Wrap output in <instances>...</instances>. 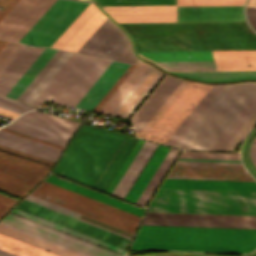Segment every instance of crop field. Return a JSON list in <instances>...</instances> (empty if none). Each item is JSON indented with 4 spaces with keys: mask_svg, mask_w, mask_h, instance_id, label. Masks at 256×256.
I'll use <instances>...</instances> for the list:
<instances>
[{
    "mask_svg": "<svg viewBox=\"0 0 256 256\" xmlns=\"http://www.w3.org/2000/svg\"><path fill=\"white\" fill-rule=\"evenodd\" d=\"M137 51L256 49L245 22L120 24Z\"/></svg>",
    "mask_w": 256,
    "mask_h": 256,
    "instance_id": "8a807250",
    "label": "crop field"
},
{
    "mask_svg": "<svg viewBox=\"0 0 256 256\" xmlns=\"http://www.w3.org/2000/svg\"><path fill=\"white\" fill-rule=\"evenodd\" d=\"M124 137L82 124L53 172L94 187Z\"/></svg>",
    "mask_w": 256,
    "mask_h": 256,
    "instance_id": "ac0d7876",
    "label": "crop field"
},
{
    "mask_svg": "<svg viewBox=\"0 0 256 256\" xmlns=\"http://www.w3.org/2000/svg\"><path fill=\"white\" fill-rule=\"evenodd\" d=\"M149 211L256 215V193L159 189Z\"/></svg>",
    "mask_w": 256,
    "mask_h": 256,
    "instance_id": "34b2d1b8",
    "label": "crop field"
},
{
    "mask_svg": "<svg viewBox=\"0 0 256 256\" xmlns=\"http://www.w3.org/2000/svg\"><path fill=\"white\" fill-rule=\"evenodd\" d=\"M110 62L72 53L31 105L45 100L75 107Z\"/></svg>",
    "mask_w": 256,
    "mask_h": 256,
    "instance_id": "412701ff",
    "label": "crop field"
},
{
    "mask_svg": "<svg viewBox=\"0 0 256 256\" xmlns=\"http://www.w3.org/2000/svg\"><path fill=\"white\" fill-rule=\"evenodd\" d=\"M134 242L256 247V229L142 225Z\"/></svg>",
    "mask_w": 256,
    "mask_h": 256,
    "instance_id": "f4fd0767",
    "label": "crop field"
},
{
    "mask_svg": "<svg viewBox=\"0 0 256 256\" xmlns=\"http://www.w3.org/2000/svg\"><path fill=\"white\" fill-rule=\"evenodd\" d=\"M140 53L154 61H174V59H176V61L211 60V55H212V51L140 52ZM189 55H191V57H188ZM157 63H159L160 65L164 66L169 70H212L211 61H184V62H157ZM157 63L155 64L160 66ZM247 64H251V66L247 67ZM212 65H213V71L256 70V50L213 51ZM162 66L160 67L165 69Z\"/></svg>",
    "mask_w": 256,
    "mask_h": 256,
    "instance_id": "dd49c442",
    "label": "crop field"
},
{
    "mask_svg": "<svg viewBox=\"0 0 256 256\" xmlns=\"http://www.w3.org/2000/svg\"><path fill=\"white\" fill-rule=\"evenodd\" d=\"M88 5L57 0L19 41L50 47Z\"/></svg>",
    "mask_w": 256,
    "mask_h": 256,
    "instance_id": "e52e79f7",
    "label": "crop field"
},
{
    "mask_svg": "<svg viewBox=\"0 0 256 256\" xmlns=\"http://www.w3.org/2000/svg\"><path fill=\"white\" fill-rule=\"evenodd\" d=\"M50 167L0 151V190L21 198Z\"/></svg>",
    "mask_w": 256,
    "mask_h": 256,
    "instance_id": "d8731c3e",
    "label": "crop field"
},
{
    "mask_svg": "<svg viewBox=\"0 0 256 256\" xmlns=\"http://www.w3.org/2000/svg\"><path fill=\"white\" fill-rule=\"evenodd\" d=\"M211 86L190 82L144 139L165 144Z\"/></svg>",
    "mask_w": 256,
    "mask_h": 256,
    "instance_id": "5a996713",
    "label": "crop field"
},
{
    "mask_svg": "<svg viewBox=\"0 0 256 256\" xmlns=\"http://www.w3.org/2000/svg\"><path fill=\"white\" fill-rule=\"evenodd\" d=\"M30 195L57 204L59 206L68 208L70 210L79 212L81 214L87 215L89 217L95 218L97 220L103 221L105 223L111 224L113 226L119 227L132 233L134 232L138 225V222L136 221L114 214L107 210L93 206L86 202L80 201L78 199L64 195L57 191L43 187L41 185H39L35 190H33L30 193Z\"/></svg>",
    "mask_w": 256,
    "mask_h": 256,
    "instance_id": "3316defc",
    "label": "crop field"
},
{
    "mask_svg": "<svg viewBox=\"0 0 256 256\" xmlns=\"http://www.w3.org/2000/svg\"><path fill=\"white\" fill-rule=\"evenodd\" d=\"M143 224L256 228V216L148 213Z\"/></svg>",
    "mask_w": 256,
    "mask_h": 256,
    "instance_id": "28ad6ade",
    "label": "crop field"
},
{
    "mask_svg": "<svg viewBox=\"0 0 256 256\" xmlns=\"http://www.w3.org/2000/svg\"><path fill=\"white\" fill-rule=\"evenodd\" d=\"M56 0H20L0 21V38L18 41Z\"/></svg>",
    "mask_w": 256,
    "mask_h": 256,
    "instance_id": "d1516ede",
    "label": "crop field"
},
{
    "mask_svg": "<svg viewBox=\"0 0 256 256\" xmlns=\"http://www.w3.org/2000/svg\"><path fill=\"white\" fill-rule=\"evenodd\" d=\"M2 222L18 227L20 229L26 230L33 234L39 235L41 237L47 238L49 240L55 241L57 243L63 244L65 246H68L70 248L76 249L78 251L84 252L92 256L119 255L116 252H113L108 249L102 248L100 246L94 245L92 243L83 241L81 239L75 238L73 236H70L65 233L59 232L57 230L51 229L49 227L40 225L38 223L32 222L30 220L24 219L22 217L16 216L11 213H9L2 220Z\"/></svg>",
    "mask_w": 256,
    "mask_h": 256,
    "instance_id": "22f410ed",
    "label": "crop field"
},
{
    "mask_svg": "<svg viewBox=\"0 0 256 256\" xmlns=\"http://www.w3.org/2000/svg\"><path fill=\"white\" fill-rule=\"evenodd\" d=\"M16 208L40 216L42 218L48 219L63 226L69 227L71 229L77 230L79 232L85 233L87 235L106 241L108 243L114 244L116 246L122 247L124 249L126 248L129 242V239H126L124 237L118 236L116 234L110 233L108 231L102 230L100 228L94 227L92 225L86 224L84 222L78 221L76 219L70 218L68 216L62 215L60 213L54 212L52 210L46 209L44 207L38 206L25 200H23L19 205H17Z\"/></svg>",
    "mask_w": 256,
    "mask_h": 256,
    "instance_id": "cbeb9de0",
    "label": "crop field"
},
{
    "mask_svg": "<svg viewBox=\"0 0 256 256\" xmlns=\"http://www.w3.org/2000/svg\"><path fill=\"white\" fill-rule=\"evenodd\" d=\"M168 178L255 181L244 167L176 164Z\"/></svg>",
    "mask_w": 256,
    "mask_h": 256,
    "instance_id": "5142ce71",
    "label": "crop field"
},
{
    "mask_svg": "<svg viewBox=\"0 0 256 256\" xmlns=\"http://www.w3.org/2000/svg\"><path fill=\"white\" fill-rule=\"evenodd\" d=\"M182 80L165 76L149 97L133 114V125L136 134L144 127L159 107L165 102Z\"/></svg>",
    "mask_w": 256,
    "mask_h": 256,
    "instance_id": "d9b57169",
    "label": "crop field"
},
{
    "mask_svg": "<svg viewBox=\"0 0 256 256\" xmlns=\"http://www.w3.org/2000/svg\"><path fill=\"white\" fill-rule=\"evenodd\" d=\"M242 7H178V21H245Z\"/></svg>",
    "mask_w": 256,
    "mask_h": 256,
    "instance_id": "733c2abd",
    "label": "crop field"
},
{
    "mask_svg": "<svg viewBox=\"0 0 256 256\" xmlns=\"http://www.w3.org/2000/svg\"><path fill=\"white\" fill-rule=\"evenodd\" d=\"M44 48H31L26 45L0 75V94L6 96ZM33 50V51H31Z\"/></svg>",
    "mask_w": 256,
    "mask_h": 256,
    "instance_id": "4a817a6b",
    "label": "crop field"
},
{
    "mask_svg": "<svg viewBox=\"0 0 256 256\" xmlns=\"http://www.w3.org/2000/svg\"><path fill=\"white\" fill-rule=\"evenodd\" d=\"M128 66V64L112 61L76 107L92 110Z\"/></svg>",
    "mask_w": 256,
    "mask_h": 256,
    "instance_id": "bc2a9ffb",
    "label": "crop field"
},
{
    "mask_svg": "<svg viewBox=\"0 0 256 256\" xmlns=\"http://www.w3.org/2000/svg\"><path fill=\"white\" fill-rule=\"evenodd\" d=\"M154 72H152V71ZM151 71V72H150ZM150 74L148 75V73ZM148 75V76H147ZM157 75V76H156ZM163 74L160 73L159 71L155 70L152 67H148L147 70L142 74V76L137 80V82L132 86V88L127 92V94L122 98V100L117 104V106L112 110L110 114L112 115H118V116H124L128 117L130 113L135 109V107L140 103V101L145 97V95L151 90V88L156 84V82L161 78ZM147 76V77H146ZM156 76V77H155ZM146 77V78H145ZM155 77V79H154ZM145 80L143 81V79ZM154 79V80H153ZM153 80V81H152ZM143 81V82H142ZM152 81V82H151ZM142 82V83H141ZM151 82V83H150ZM141 83V84H140ZM150 83V85H149ZM140 86L138 87V85ZM149 85V86H148ZM148 86V87H147ZM138 87V88H137ZM147 87V88H146ZM137 88V89H136ZM146 88V89H145ZM136 89V90H135ZM145 89V90H144ZM135 92L133 93V91ZM144 90V92H143ZM143 92V93H142ZM133 93V94H132ZM142 93V94H141ZM132 94V95H131ZM141 94V95H140ZM131 95V96H130ZM140 95V96H139ZM130 98L128 99V97ZM139 96V98H138ZM138 98V99H137ZM128 99V100H127ZM137 99V100H136ZM127 100V101H126ZM136 100V101H135ZM126 101V102H125ZM135 101V102H134ZM125 104L123 105V103ZM134 102V103H133ZM133 103V105H132ZM123 105V106H122ZM132 105V106H131ZM122 106V107H121ZM131 106V107H130ZM121 107V108H120ZM130 107V108H129ZM120 110L118 111V109ZM129 108V109H128ZM128 109V111H127ZM121 112V113H126L125 114H120L116 112Z\"/></svg>",
    "mask_w": 256,
    "mask_h": 256,
    "instance_id": "214f88e0",
    "label": "crop field"
},
{
    "mask_svg": "<svg viewBox=\"0 0 256 256\" xmlns=\"http://www.w3.org/2000/svg\"><path fill=\"white\" fill-rule=\"evenodd\" d=\"M161 188L256 191V182L166 179Z\"/></svg>",
    "mask_w": 256,
    "mask_h": 256,
    "instance_id": "92a150f3",
    "label": "crop field"
},
{
    "mask_svg": "<svg viewBox=\"0 0 256 256\" xmlns=\"http://www.w3.org/2000/svg\"><path fill=\"white\" fill-rule=\"evenodd\" d=\"M45 181L53 183L55 185L61 186L63 188L69 189L71 191L77 192L79 194L85 195L87 197L93 198L100 202L106 203L108 205L114 206L116 208L122 209L124 211L130 212L132 214L142 216L144 209L136 207L134 205L128 204L126 202L120 201L113 197L107 196L105 194L99 193L97 191L91 190L89 188L83 187L76 183L70 182L68 180L62 179L60 177L50 174Z\"/></svg>",
    "mask_w": 256,
    "mask_h": 256,
    "instance_id": "dafd665d",
    "label": "crop field"
},
{
    "mask_svg": "<svg viewBox=\"0 0 256 256\" xmlns=\"http://www.w3.org/2000/svg\"><path fill=\"white\" fill-rule=\"evenodd\" d=\"M157 147V144L150 143L145 141L143 146L141 147L140 151L130 164L129 168L117 184L116 188L112 192L113 195L120 196L124 198L126 193L128 192L129 188L139 175L140 171L152 155L153 151Z\"/></svg>",
    "mask_w": 256,
    "mask_h": 256,
    "instance_id": "00972430",
    "label": "crop field"
},
{
    "mask_svg": "<svg viewBox=\"0 0 256 256\" xmlns=\"http://www.w3.org/2000/svg\"><path fill=\"white\" fill-rule=\"evenodd\" d=\"M169 147L161 146L157 148L131 189L129 190L128 194L126 195L125 199L136 203L137 199L141 195L142 191L146 187L147 183L151 179L152 175L156 171L157 167L161 163L162 159L166 155Z\"/></svg>",
    "mask_w": 256,
    "mask_h": 256,
    "instance_id": "a9b5d70f",
    "label": "crop field"
},
{
    "mask_svg": "<svg viewBox=\"0 0 256 256\" xmlns=\"http://www.w3.org/2000/svg\"><path fill=\"white\" fill-rule=\"evenodd\" d=\"M130 249L247 253L254 248L133 243Z\"/></svg>",
    "mask_w": 256,
    "mask_h": 256,
    "instance_id": "4177f3b9",
    "label": "crop field"
},
{
    "mask_svg": "<svg viewBox=\"0 0 256 256\" xmlns=\"http://www.w3.org/2000/svg\"><path fill=\"white\" fill-rule=\"evenodd\" d=\"M55 49L45 48L44 51L39 55L35 62L30 66L22 78L17 82L13 89L8 93L7 97L17 99L18 96L23 92L27 85L32 81L36 74L46 64L50 57L55 53Z\"/></svg>",
    "mask_w": 256,
    "mask_h": 256,
    "instance_id": "730fd06b",
    "label": "crop field"
},
{
    "mask_svg": "<svg viewBox=\"0 0 256 256\" xmlns=\"http://www.w3.org/2000/svg\"><path fill=\"white\" fill-rule=\"evenodd\" d=\"M11 213H14L16 215H19V216H22L24 218H27V219H30L32 221H35V222H38L40 224H43V225H46V226H49L51 228H54V229H57L59 231H62V232H65L67 234H70V235H73L75 237H78V238H81L83 240H86V241H89V242H92L94 244H97V245H100L102 247H105V248H108L110 250H113V251H116L118 253H121L123 254L124 253V249L122 248H119V247H116L114 245H111V244H108L106 242H103V241H100L98 239H95V238H92L90 236H87L85 234H82V233H79L77 231H74V230H71L69 228H66V227H63L61 225H58V224H55L53 222H50L48 220H45V219H42L40 217H37V216H34L32 214H29V213H26L24 211H21V210H18L16 208H14Z\"/></svg>",
    "mask_w": 256,
    "mask_h": 256,
    "instance_id": "eef30255",
    "label": "crop field"
},
{
    "mask_svg": "<svg viewBox=\"0 0 256 256\" xmlns=\"http://www.w3.org/2000/svg\"><path fill=\"white\" fill-rule=\"evenodd\" d=\"M106 18L98 9L62 49L76 52Z\"/></svg>",
    "mask_w": 256,
    "mask_h": 256,
    "instance_id": "ae1a2a85",
    "label": "crop field"
},
{
    "mask_svg": "<svg viewBox=\"0 0 256 256\" xmlns=\"http://www.w3.org/2000/svg\"><path fill=\"white\" fill-rule=\"evenodd\" d=\"M148 66V64L140 61L134 68V70L129 74V76L123 81V83L117 88V90L112 94V96L101 107L99 112L109 114Z\"/></svg>",
    "mask_w": 256,
    "mask_h": 256,
    "instance_id": "d3111659",
    "label": "crop field"
},
{
    "mask_svg": "<svg viewBox=\"0 0 256 256\" xmlns=\"http://www.w3.org/2000/svg\"><path fill=\"white\" fill-rule=\"evenodd\" d=\"M136 141H137L136 138L127 136L124 143L122 144L117 154L113 158L112 162L110 163L105 173L103 174L98 184L96 185V188L105 191L108 184L116 174L117 170L125 160L126 156L130 152V150L132 149Z\"/></svg>",
    "mask_w": 256,
    "mask_h": 256,
    "instance_id": "750c4746",
    "label": "crop field"
},
{
    "mask_svg": "<svg viewBox=\"0 0 256 256\" xmlns=\"http://www.w3.org/2000/svg\"><path fill=\"white\" fill-rule=\"evenodd\" d=\"M223 85H213L212 88L207 92L203 99L198 103L190 115L185 119L181 126L176 130L172 137L167 141V145L174 146L175 143L180 139V137L185 133L189 126L194 122L198 115L203 111V109L208 105L212 98L217 94V92L222 88Z\"/></svg>",
    "mask_w": 256,
    "mask_h": 256,
    "instance_id": "bd1437ed",
    "label": "crop field"
},
{
    "mask_svg": "<svg viewBox=\"0 0 256 256\" xmlns=\"http://www.w3.org/2000/svg\"><path fill=\"white\" fill-rule=\"evenodd\" d=\"M0 248L19 256H58L2 234H0Z\"/></svg>",
    "mask_w": 256,
    "mask_h": 256,
    "instance_id": "1d83c4d3",
    "label": "crop field"
},
{
    "mask_svg": "<svg viewBox=\"0 0 256 256\" xmlns=\"http://www.w3.org/2000/svg\"><path fill=\"white\" fill-rule=\"evenodd\" d=\"M178 75L204 81H228L244 78H256V71L244 72H171Z\"/></svg>",
    "mask_w": 256,
    "mask_h": 256,
    "instance_id": "120bbe31",
    "label": "crop field"
},
{
    "mask_svg": "<svg viewBox=\"0 0 256 256\" xmlns=\"http://www.w3.org/2000/svg\"><path fill=\"white\" fill-rule=\"evenodd\" d=\"M128 42L127 36L117 27L93 55L100 57L106 55L105 58L114 59ZM108 50H111V52H108Z\"/></svg>",
    "mask_w": 256,
    "mask_h": 256,
    "instance_id": "d32e631a",
    "label": "crop field"
},
{
    "mask_svg": "<svg viewBox=\"0 0 256 256\" xmlns=\"http://www.w3.org/2000/svg\"><path fill=\"white\" fill-rule=\"evenodd\" d=\"M0 232L3 234L9 235L11 237L17 238L19 240L25 241L27 243L33 244L35 246L41 247L43 249L49 250L51 252L57 253L62 256H83L75 252L66 250L64 248L58 247L56 245L50 244L48 242L31 237L29 235L12 230L10 228L4 227L2 225H0Z\"/></svg>",
    "mask_w": 256,
    "mask_h": 256,
    "instance_id": "5866460e",
    "label": "crop field"
},
{
    "mask_svg": "<svg viewBox=\"0 0 256 256\" xmlns=\"http://www.w3.org/2000/svg\"><path fill=\"white\" fill-rule=\"evenodd\" d=\"M116 27L117 26L107 18L77 52L92 55Z\"/></svg>",
    "mask_w": 256,
    "mask_h": 256,
    "instance_id": "028f5c9d",
    "label": "crop field"
},
{
    "mask_svg": "<svg viewBox=\"0 0 256 256\" xmlns=\"http://www.w3.org/2000/svg\"><path fill=\"white\" fill-rule=\"evenodd\" d=\"M117 22H176V13L110 14Z\"/></svg>",
    "mask_w": 256,
    "mask_h": 256,
    "instance_id": "e1f06a70",
    "label": "crop field"
},
{
    "mask_svg": "<svg viewBox=\"0 0 256 256\" xmlns=\"http://www.w3.org/2000/svg\"><path fill=\"white\" fill-rule=\"evenodd\" d=\"M107 13L176 12V5L101 6Z\"/></svg>",
    "mask_w": 256,
    "mask_h": 256,
    "instance_id": "0bd39190",
    "label": "crop field"
},
{
    "mask_svg": "<svg viewBox=\"0 0 256 256\" xmlns=\"http://www.w3.org/2000/svg\"><path fill=\"white\" fill-rule=\"evenodd\" d=\"M98 8L90 4L84 12L71 24V26L57 39V41L51 46L54 48L61 49L66 42L79 30V28L92 16V14Z\"/></svg>",
    "mask_w": 256,
    "mask_h": 256,
    "instance_id": "b80d0937",
    "label": "crop field"
},
{
    "mask_svg": "<svg viewBox=\"0 0 256 256\" xmlns=\"http://www.w3.org/2000/svg\"><path fill=\"white\" fill-rule=\"evenodd\" d=\"M0 138L20 144V145L30 147V148H33V149L57 156V157L59 156V154L61 152V150H58V149L34 142V141H30V140H27V139H24V138H21V137H18V136H15V135L3 132V131H0Z\"/></svg>",
    "mask_w": 256,
    "mask_h": 256,
    "instance_id": "c035e120",
    "label": "crop field"
},
{
    "mask_svg": "<svg viewBox=\"0 0 256 256\" xmlns=\"http://www.w3.org/2000/svg\"><path fill=\"white\" fill-rule=\"evenodd\" d=\"M70 52L64 51L63 54L58 58V60L53 64L49 71L44 75V77L39 81L35 88L30 92V94L25 98L24 102L30 104L31 101L36 97V95L41 91V89L46 85L50 78L55 74V72L60 68V66L65 62V60L70 56Z\"/></svg>",
    "mask_w": 256,
    "mask_h": 256,
    "instance_id": "c21b1889",
    "label": "crop field"
},
{
    "mask_svg": "<svg viewBox=\"0 0 256 256\" xmlns=\"http://www.w3.org/2000/svg\"><path fill=\"white\" fill-rule=\"evenodd\" d=\"M189 82L183 80L181 84L176 88V90L171 94V96L166 100V102L161 106V108L155 113V115L150 119V121L145 125V127L137 135L143 138L145 134L150 130V128L155 124V122L161 117V115L166 111V109L171 105V103L177 98V96L182 92V90L187 86Z\"/></svg>",
    "mask_w": 256,
    "mask_h": 256,
    "instance_id": "03da06ac",
    "label": "crop field"
},
{
    "mask_svg": "<svg viewBox=\"0 0 256 256\" xmlns=\"http://www.w3.org/2000/svg\"><path fill=\"white\" fill-rule=\"evenodd\" d=\"M41 185H44V186H46V187L52 188V189L57 190V191H60V192H62V193L71 195V196L76 197V198H79V199H81V200L90 202V203H92V204L98 205V206L103 207V208H106V209H108V210L117 212V213H119V214L125 215V216L130 217V218H133V219H135V220H138V221L140 220V217H138V216L132 215V214L127 213V212H124V211H122V210H119V209H116V208H114V207L108 206V205H106V204L100 203V202H98V201L92 200V199H90V198H87V197H85V196H82V195H79V194H77V193L71 192V191H69V190L63 189V188H61V187L55 186V185H53V184L47 183V182H45V181H43V182L41 183Z\"/></svg>",
    "mask_w": 256,
    "mask_h": 256,
    "instance_id": "b54c1fbb",
    "label": "crop field"
},
{
    "mask_svg": "<svg viewBox=\"0 0 256 256\" xmlns=\"http://www.w3.org/2000/svg\"><path fill=\"white\" fill-rule=\"evenodd\" d=\"M143 143H144V140L138 139L135 146L133 147V149L131 150V152L127 156L126 160L124 161V163L122 164V166L118 170L117 174L115 175V177L113 178V180L109 184L108 188L106 189V192L111 194V192L115 188L116 184L118 183V181L120 180V178L122 177L124 172L126 171L127 167L129 166V164L131 163V161L133 160V158L135 157V155L137 154V152L139 151V149H140V147L142 146Z\"/></svg>",
    "mask_w": 256,
    "mask_h": 256,
    "instance_id": "5d738f31",
    "label": "crop field"
},
{
    "mask_svg": "<svg viewBox=\"0 0 256 256\" xmlns=\"http://www.w3.org/2000/svg\"><path fill=\"white\" fill-rule=\"evenodd\" d=\"M245 0H178V6L243 5Z\"/></svg>",
    "mask_w": 256,
    "mask_h": 256,
    "instance_id": "d23c7cc5",
    "label": "crop field"
},
{
    "mask_svg": "<svg viewBox=\"0 0 256 256\" xmlns=\"http://www.w3.org/2000/svg\"><path fill=\"white\" fill-rule=\"evenodd\" d=\"M99 5L176 4V0H96Z\"/></svg>",
    "mask_w": 256,
    "mask_h": 256,
    "instance_id": "425ffa30",
    "label": "crop field"
},
{
    "mask_svg": "<svg viewBox=\"0 0 256 256\" xmlns=\"http://www.w3.org/2000/svg\"><path fill=\"white\" fill-rule=\"evenodd\" d=\"M256 123V111L236 133V135L230 140L223 150L233 151L234 148L239 144L243 137L248 133L252 126Z\"/></svg>",
    "mask_w": 256,
    "mask_h": 256,
    "instance_id": "25e5ab78",
    "label": "crop field"
},
{
    "mask_svg": "<svg viewBox=\"0 0 256 256\" xmlns=\"http://www.w3.org/2000/svg\"><path fill=\"white\" fill-rule=\"evenodd\" d=\"M73 218H76L78 220L84 221L86 223L92 224L94 226L100 227L102 229L108 230L110 232L116 233L118 235L124 236V237L129 238V239L132 236V233H129L127 231L121 230L119 228L113 227L111 225L105 224L103 222L94 220L92 218L86 217V216L78 214V213L76 215H74Z\"/></svg>",
    "mask_w": 256,
    "mask_h": 256,
    "instance_id": "73cf0c24",
    "label": "crop field"
},
{
    "mask_svg": "<svg viewBox=\"0 0 256 256\" xmlns=\"http://www.w3.org/2000/svg\"><path fill=\"white\" fill-rule=\"evenodd\" d=\"M63 51L57 50L56 53L51 57L47 64L42 68L38 75L33 79V81L28 85L24 92L19 96L18 100L23 101L24 98L29 94V92L34 88L38 81L43 77V75L48 71L52 64L57 60V58L62 54Z\"/></svg>",
    "mask_w": 256,
    "mask_h": 256,
    "instance_id": "89e229c0",
    "label": "crop field"
},
{
    "mask_svg": "<svg viewBox=\"0 0 256 256\" xmlns=\"http://www.w3.org/2000/svg\"><path fill=\"white\" fill-rule=\"evenodd\" d=\"M134 66L130 65L128 69L123 73V75L117 80V82L112 86V88L106 93V95L100 100V102L95 106L93 110L98 111L99 108L104 104V102L109 98L113 91L118 87V85L123 81L127 74L132 70Z\"/></svg>",
    "mask_w": 256,
    "mask_h": 256,
    "instance_id": "1f2cbd36",
    "label": "crop field"
},
{
    "mask_svg": "<svg viewBox=\"0 0 256 256\" xmlns=\"http://www.w3.org/2000/svg\"><path fill=\"white\" fill-rule=\"evenodd\" d=\"M115 59L130 63H135L138 60L131 50L130 43L126 45V47L118 54Z\"/></svg>",
    "mask_w": 256,
    "mask_h": 256,
    "instance_id": "dbb93151",
    "label": "crop field"
},
{
    "mask_svg": "<svg viewBox=\"0 0 256 256\" xmlns=\"http://www.w3.org/2000/svg\"><path fill=\"white\" fill-rule=\"evenodd\" d=\"M16 201L17 199L15 198L0 194V216L4 214Z\"/></svg>",
    "mask_w": 256,
    "mask_h": 256,
    "instance_id": "0fb4a251",
    "label": "crop field"
},
{
    "mask_svg": "<svg viewBox=\"0 0 256 256\" xmlns=\"http://www.w3.org/2000/svg\"><path fill=\"white\" fill-rule=\"evenodd\" d=\"M0 150H4V151H7V152H10V153L22 156V157H26V158H29V159H32V160H35V161H38V162H41V163L51 165V166H53V164H54V162L44 160V159L29 155V154H25V153H22V152H19V151L10 149V148H6V147H3V146H0Z\"/></svg>",
    "mask_w": 256,
    "mask_h": 256,
    "instance_id": "1d79db26",
    "label": "crop field"
},
{
    "mask_svg": "<svg viewBox=\"0 0 256 256\" xmlns=\"http://www.w3.org/2000/svg\"><path fill=\"white\" fill-rule=\"evenodd\" d=\"M19 0H0V20L5 16V14L18 2Z\"/></svg>",
    "mask_w": 256,
    "mask_h": 256,
    "instance_id": "9d1cf04e",
    "label": "crop field"
},
{
    "mask_svg": "<svg viewBox=\"0 0 256 256\" xmlns=\"http://www.w3.org/2000/svg\"><path fill=\"white\" fill-rule=\"evenodd\" d=\"M23 44L18 43L17 46L12 50V52L7 56V58L0 65V74L5 69V67L10 63L18 51L22 48ZM24 47V46H23Z\"/></svg>",
    "mask_w": 256,
    "mask_h": 256,
    "instance_id": "447ae74e",
    "label": "crop field"
},
{
    "mask_svg": "<svg viewBox=\"0 0 256 256\" xmlns=\"http://www.w3.org/2000/svg\"><path fill=\"white\" fill-rule=\"evenodd\" d=\"M0 130H3V131H6V132H9V133H12V134H15V135L27 138V139H31V140H34V141H37V142H40V143H43V144H46V145H49V146H52V147H55V148L63 150V147H60V146H57V145H54V144H51V143H48V142L36 139V138H32V137H29V136H26V135H23V134H20V133H17V132H14V131H11V130H8V129H5V128H2Z\"/></svg>",
    "mask_w": 256,
    "mask_h": 256,
    "instance_id": "0765c3eb",
    "label": "crop field"
},
{
    "mask_svg": "<svg viewBox=\"0 0 256 256\" xmlns=\"http://www.w3.org/2000/svg\"><path fill=\"white\" fill-rule=\"evenodd\" d=\"M17 43L8 42L6 46L0 52V64L6 58V56L11 52V50L16 46Z\"/></svg>",
    "mask_w": 256,
    "mask_h": 256,
    "instance_id": "db79e9e6",
    "label": "crop field"
},
{
    "mask_svg": "<svg viewBox=\"0 0 256 256\" xmlns=\"http://www.w3.org/2000/svg\"><path fill=\"white\" fill-rule=\"evenodd\" d=\"M0 107L10 110V111H13V112H16V113H19V114H21L25 111H29V110H26V109H23V108H20V107H17V106H14V105L2 102V101H0Z\"/></svg>",
    "mask_w": 256,
    "mask_h": 256,
    "instance_id": "7b73153f",
    "label": "crop field"
},
{
    "mask_svg": "<svg viewBox=\"0 0 256 256\" xmlns=\"http://www.w3.org/2000/svg\"><path fill=\"white\" fill-rule=\"evenodd\" d=\"M0 224H2V225H4V226H7V227H10V228H12V229L21 231V232H23V233L29 234V235H31V236L37 237V238H39V239L48 241V242H50V243L56 244V245H58V246L67 248V249H69V250L75 251V252H77V253L83 254V255H85V256H89V255H86V254H84V253H81V252H78V251H76V250H73V249H70V248H68V247H65V246H63V245H60V244H57V243H55V242L49 241V240H47V239L41 238V237H39V236L33 235V234L28 233V232H26V231H23V230H20V229H18V228L12 227V226H10V225L4 224V223H2V222H0Z\"/></svg>",
    "mask_w": 256,
    "mask_h": 256,
    "instance_id": "78b8030e",
    "label": "crop field"
},
{
    "mask_svg": "<svg viewBox=\"0 0 256 256\" xmlns=\"http://www.w3.org/2000/svg\"><path fill=\"white\" fill-rule=\"evenodd\" d=\"M247 17L251 25L256 28V8L247 7Z\"/></svg>",
    "mask_w": 256,
    "mask_h": 256,
    "instance_id": "0f1d7ab4",
    "label": "crop field"
},
{
    "mask_svg": "<svg viewBox=\"0 0 256 256\" xmlns=\"http://www.w3.org/2000/svg\"><path fill=\"white\" fill-rule=\"evenodd\" d=\"M0 100L23 107V108H26V109H29V110L36 108V107L30 106V105H27V104H24V103H21V102H18V101H15V100L3 97V96H0Z\"/></svg>",
    "mask_w": 256,
    "mask_h": 256,
    "instance_id": "e1d0b9f6",
    "label": "crop field"
},
{
    "mask_svg": "<svg viewBox=\"0 0 256 256\" xmlns=\"http://www.w3.org/2000/svg\"><path fill=\"white\" fill-rule=\"evenodd\" d=\"M177 163L242 165L241 163H225V162H193V161H177Z\"/></svg>",
    "mask_w": 256,
    "mask_h": 256,
    "instance_id": "ae633e8c",
    "label": "crop field"
},
{
    "mask_svg": "<svg viewBox=\"0 0 256 256\" xmlns=\"http://www.w3.org/2000/svg\"><path fill=\"white\" fill-rule=\"evenodd\" d=\"M0 114L7 116L9 118H12V119L16 118L19 115V114H16V113H13V112L1 109V108H0Z\"/></svg>",
    "mask_w": 256,
    "mask_h": 256,
    "instance_id": "d14b1444",
    "label": "crop field"
},
{
    "mask_svg": "<svg viewBox=\"0 0 256 256\" xmlns=\"http://www.w3.org/2000/svg\"><path fill=\"white\" fill-rule=\"evenodd\" d=\"M179 160H194V161H225V160H195V159H179ZM226 162H240V161H226Z\"/></svg>",
    "mask_w": 256,
    "mask_h": 256,
    "instance_id": "c39391a2",
    "label": "crop field"
},
{
    "mask_svg": "<svg viewBox=\"0 0 256 256\" xmlns=\"http://www.w3.org/2000/svg\"><path fill=\"white\" fill-rule=\"evenodd\" d=\"M248 6L256 7V0H250Z\"/></svg>",
    "mask_w": 256,
    "mask_h": 256,
    "instance_id": "ade564c9",
    "label": "crop field"
},
{
    "mask_svg": "<svg viewBox=\"0 0 256 256\" xmlns=\"http://www.w3.org/2000/svg\"><path fill=\"white\" fill-rule=\"evenodd\" d=\"M6 43V41H0V50L5 46Z\"/></svg>",
    "mask_w": 256,
    "mask_h": 256,
    "instance_id": "c5b07064",
    "label": "crop field"
},
{
    "mask_svg": "<svg viewBox=\"0 0 256 256\" xmlns=\"http://www.w3.org/2000/svg\"><path fill=\"white\" fill-rule=\"evenodd\" d=\"M253 143H255V144H256V138H255V140L253 141Z\"/></svg>",
    "mask_w": 256,
    "mask_h": 256,
    "instance_id": "c3a83c6f",
    "label": "crop field"
}]
</instances>
